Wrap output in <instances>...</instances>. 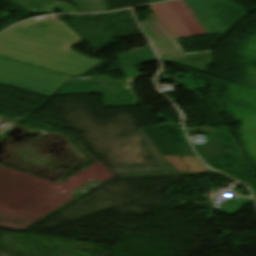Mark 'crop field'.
I'll use <instances>...</instances> for the list:
<instances>
[{
  "label": "crop field",
  "mask_w": 256,
  "mask_h": 256,
  "mask_svg": "<svg viewBox=\"0 0 256 256\" xmlns=\"http://www.w3.org/2000/svg\"><path fill=\"white\" fill-rule=\"evenodd\" d=\"M119 58H121L120 60H118L121 66H125V65L133 66L141 62H146V61H151L156 59L150 46L144 47L142 52L138 53V55L129 54V55L119 56Z\"/></svg>",
  "instance_id": "e52e79f7"
},
{
  "label": "crop field",
  "mask_w": 256,
  "mask_h": 256,
  "mask_svg": "<svg viewBox=\"0 0 256 256\" xmlns=\"http://www.w3.org/2000/svg\"><path fill=\"white\" fill-rule=\"evenodd\" d=\"M140 24L163 60L202 71L213 63L210 50L179 54L170 40L174 37L154 13Z\"/></svg>",
  "instance_id": "34b2d1b8"
},
{
  "label": "crop field",
  "mask_w": 256,
  "mask_h": 256,
  "mask_svg": "<svg viewBox=\"0 0 256 256\" xmlns=\"http://www.w3.org/2000/svg\"><path fill=\"white\" fill-rule=\"evenodd\" d=\"M175 38L202 35L177 1L152 6Z\"/></svg>",
  "instance_id": "412701ff"
},
{
  "label": "crop field",
  "mask_w": 256,
  "mask_h": 256,
  "mask_svg": "<svg viewBox=\"0 0 256 256\" xmlns=\"http://www.w3.org/2000/svg\"><path fill=\"white\" fill-rule=\"evenodd\" d=\"M32 13H54L55 8L64 13L81 12L66 2L58 3L57 0H11Z\"/></svg>",
  "instance_id": "f4fd0767"
},
{
  "label": "crop field",
  "mask_w": 256,
  "mask_h": 256,
  "mask_svg": "<svg viewBox=\"0 0 256 256\" xmlns=\"http://www.w3.org/2000/svg\"><path fill=\"white\" fill-rule=\"evenodd\" d=\"M150 3H153V2H158V1H163V0H149Z\"/></svg>",
  "instance_id": "d8731c3e"
},
{
  "label": "crop field",
  "mask_w": 256,
  "mask_h": 256,
  "mask_svg": "<svg viewBox=\"0 0 256 256\" xmlns=\"http://www.w3.org/2000/svg\"><path fill=\"white\" fill-rule=\"evenodd\" d=\"M72 77L0 58V83L51 97Z\"/></svg>",
  "instance_id": "ac0d7876"
},
{
  "label": "crop field",
  "mask_w": 256,
  "mask_h": 256,
  "mask_svg": "<svg viewBox=\"0 0 256 256\" xmlns=\"http://www.w3.org/2000/svg\"><path fill=\"white\" fill-rule=\"evenodd\" d=\"M82 40L65 22L47 17L21 23L0 35V56L67 74H85L102 62L69 49Z\"/></svg>",
  "instance_id": "8a807250"
},
{
  "label": "crop field",
  "mask_w": 256,
  "mask_h": 256,
  "mask_svg": "<svg viewBox=\"0 0 256 256\" xmlns=\"http://www.w3.org/2000/svg\"><path fill=\"white\" fill-rule=\"evenodd\" d=\"M188 133H198L203 131H213V140H206L204 144V152L208 158L210 165L226 164L222 161L224 157L225 142L220 141L219 136L222 132H214L213 127L206 128H189L186 129Z\"/></svg>",
  "instance_id": "dd49c442"
}]
</instances>
